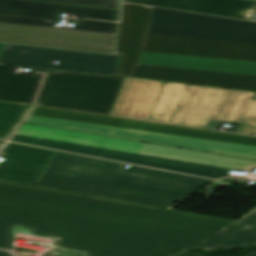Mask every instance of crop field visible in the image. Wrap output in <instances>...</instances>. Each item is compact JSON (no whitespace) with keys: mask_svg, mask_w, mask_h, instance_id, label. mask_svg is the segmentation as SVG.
<instances>
[{"mask_svg":"<svg viewBox=\"0 0 256 256\" xmlns=\"http://www.w3.org/2000/svg\"><path fill=\"white\" fill-rule=\"evenodd\" d=\"M234 222L0 181V248L15 237L84 256H176Z\"/></svg>","mask_w":256,"mask_h":256,"instance_id":"crop-field-1","label":"crop field"},{"mask_svg":"<svg viewBox=\"0 0 256 256\" xmlns=\"http://www.w3.org/2000/svg\"><path fill=\"white\" fill-rule=\"evenodd\" d=\"M61 12L117 21L118 11L0 0V42L112 53L116 23L82 19L54 27Z\"/></svg>","mask_w":256,"mask_h":256,"instance_id":"crop-field-6","label":"crop field"},{"mask_svg":"<svg viewBox=\"0 0 256 256\" xmlns=\"http://www.w3.org/2000/svg\"><path fill=\"white\" fill-rule=\"evenodd\" d=\"M30 106L0 102V139L8 140Z\"/></svg>","mask_w":256,"mask_h":256,"instance_id":"crop-field-16","label":"crop field"},{"mask_svg":"<svg viewBox=\"0 0 256 256\" xmlns=\"http://www.w3.org/2000/svg\"><path fill=\"white\" fill-rule=\"evenodd\" d=\"M123 80L49 70L35 105L109 115Z\"/></svg>","mask_w":256,"mask_h":256,"instance_id":"crop-field-9","label":"crop field"},{"mask_svg":"<svg viewBox=\"0 0 256 256\" xmlns=\"http://www.w3.org/2000/svg\"><path fill=\"white\" fill-rule=\"evenodd\" d=\"M118 55L6 44L1 64L115 75ZM54 60H60L58 65Z\"/></svg>","mask_w":256,"mask_h":256,"instance_id":"crop-field-10","label":"crop field"},{"mask_svg":"<svg viewBox=\"0 0 256 256\" xmlns=\"http://www.w3.org/2000/svg\"><path fill=\"white\" fill-rule=\"evenodd\" d=\"M142 51L256 62V23L153 7Z\"/></svg>","mask_w":256,"mask_h":256,"instance_id":"crop-field-5","label":"crop field"},{"mask_svg":"<svg viewBox=\"0 0 256 256\" xmlns=\"http://www.w3.org/2000/svg\"><path fill=\"white\" fill-rule=\"evenodd\" d=\"M123 2L154 5L245 20H252L256 14V0H123Z\"/></svg>","mask_w":256,"mask_h":256,"instance_id":"crop-field-12","label":"crop field"},{"mask_svg":"<svg viewBox=\"0 0 256 256\" xmlns=\"http://www.w3.org/2000/svg\"><path fill=\"white\" fill-rule=\"evenodd\" d=\"M0 256H12V255L8 254V253L5 252V251H1V250H0Z\"/></svg>","mask_w":256,"mask_h":256,"instance_id":"crop-field-21","label":"crop field"},{"mask_svg":"<svg viewBox=\"0 0 256 256\" xmlns=\"http://www.w3.org/2000/svg\"><path fill=\"white\" fill-rule=\"evenodd\" d=\"M46 3L119 10L120 0H30Z\"/></svg>","mask_w":256,"mask_h":256,"instance_id":"crop-field-17","label":"crop field"},{"mask_svg":"<svg viewBox=\"0 0 256 256\" xmlns=\"http://www.w3.org/2000/svg\"><path fill=\"white\" fill-rule=\"evenodd\" d=\"M50 247V246H49ZM51 251L50 254H58V255H82L86 252H77V251H69V250H63V249H57L50 247Z\"/></svg>","mask_w":256,"mask_h":256,"instance_id":"crop-field-18","label":"crop field"},{"mask_svg":"<svg viewBox=\"0 0 256 256\" xmlns=\"http://www.w3.org/2000/svg\"><path fill=\"white\" fill-rule=\"evenodd\" d=\"M55 153L54 150L7 143L0 151L6 157L0 179L34 185Z\"/></svg>","mask_w":256,"mask_h":256,"instance_id":"crop-field-11","label":"crop field"},{"mask_svg":"<svg viewBox=\"0 0 256 256\" xmlns=\"http://www.w3.org/2000/svg\"><path fill=\"white\" fill-rule=\"evenodd\" d=\"M24 122L256 160V138L33 106Z\"/></svg>","mask_w":256,"mask_h":256,"instance_id":"crop-field-7","label":"crop field"},{"mask_svg":"<svg viewBox=\"0 0 256 256\" xmlns=\"http://www.w3.org/2000/svg\"><path fill=\"white\" fill-rule=\"evenodd\" d=\"M17 67L0 65V100L33 104L44 74L32 76L16 74ZM46 73L47 70L32 69Z\"/></svg>","mask_w":256,"mask_h":256,"instance_id":"crop-field-14","label":"crop field"},{"mask_svg":"<svg viewBox=\"0 0 256 256\" xmlns=\"http://www.w3.org/2000/svg\"><path fill=\"white\" fill-rule=\"evenodd\" d=\"M254 93L125 78L110 115L207 128L210 120L240 123L256 135Z\"/></svg>","mask_w":256,"mask_h":256,"instance_id":"crop-field-2","label":"crop field"},{"mask_svg":"<svg viewBox=\"0 0 256 256\" xmlns=\"http://www.w3.org/2000/svg\"><path fill=\"white\" fill-rule=\"evenodd\" d=\"M194 193H195V192H194ZM196 194H197V193H195V194H193V195H191V196H189V197H187V198H185V199H183V200H181V201H179V202H177V203L171 205V206L168 207V208L173 209V208L177 207L178 205H180L181 203L185 202L186 200L190 199L191 197H193V196L196 195Z\"/></svg>","mask_w":256,"mask_h":256,"instance_id":"crop-field-19","label":"crop field"},{"mask_svg":"<svg viewBox=\"0 0 256 256\" xmlns=\"http://www.w3.org/2000/svg\"><path fill=\"white\" fill-rule=\"evenodd\" d=\"M5 44H0V55H1V52L3 50V47H4Z\"/></svg>","mask_w":256,"mask_h":256,"instance_id":"crop-field-22","label":"crop field"},{"mask_svg":"<svg viewBox=\"0 0 256 256\" xmlns=\"http://www.w3.org/2000/svg\"><path fill=\"white\" fill-rule=\"evenodd\" d=\"M255 21H256V18H255Z\"/></svg>","mask_w":256,"mask_h":256,"instance_id":"crop-field-24","label":"crop field"},{"mask_svg":"<svg viewBox=\"0 0 256 256\" xmlns=\"http://www.w3.org/2000/svg\"><path fill=\"white\" fill-rule=\"evenodd\" d=\"M249 244L256 245V209L199 244L196 248L209 250L219 246L224 248L247 247Z\"/></svg>","mask_w":256,"mask_h":256,"instance_id":"crop-field-15","label":"crop field"},{"mask_svg":"<svg viewBox=\"0 0 256 256\" xmlns=\"http://www.w3.org/2000/svg\"><path fill=\"white\" fill-rule=\"evenodd\" d=\"M180 256H200V255H196V254H193V253H190V252H187L183 255H180ZM244 256H256V251L255 252H252V253H249V254H246Z\"/></svg>","mask_w":256,"mask_h":256,"instance_id":"crop-field-20","label":"crop field"},{"mask_svg":"<svg viewBox=\"0 0 256 256\" xmlns=\"http://www.w3.org/2000/svg\"><path fill=\"white\" fill-rule=\"evenodd\" d=\"M122 166L56 151L35 185L164 207L214 181L136 166L122 169Z\"/></svg>","mask_w":256,"mask_h":256,"instance_id":"crop-field-3","label":"crop field"},{"mask_svg":"<svg viewBox=\"0 0 256 256\" xmlns=\"http://www.w3.org/2000/svg\"><path fill=\"white\" fill-rule=\"evenodd\" d=\"M150 8L123 4L117 52L121 53L118 75L182 82L256 92V76L195 69L137 64Z\"/></svg>","mask_w":256,"mask_h":256,"instance_id":"crop-field-8","label":"crop field"},{"mask_svg":"<svg viewBox=\"0 0 256 256\" xmlns=\"http://www.w3.org/2000/svg\"><path fill=\"white\" fill-rule=\"evenodd\" d=\"M138 63L256 75V63L253 62L142 52Z\"/></svg>","mask_w":256,"mask_h":256,"instance_id":"crop-field-13","label":"crop field"},{"mask_svg":"<svg viewBox=\"0 0 256 256\" xmlns=\"http://www.w3.org/2000/svg\"><path fill=\"white\" fill-rule=\"evenodd\" d=\"M10 140L213 179L256 166L254 160L29 124L20 125Z\"/></svg>","mask_w":256,"mask_h":256,"instance_id":"crop-field-4","label":"crop field"},{"mask_svg":"<svg viewBox=\"0 0 256 256\" xmlns=\"http://www.w3.org/2000/svg\"><path fill=\"white\" fill-rule=\"evenodd\" d=\"M5 142L0 141V148L4 145Z\"/></svg>","mask_w":256,"mask_h":256,"instance_id":"crop-field-23","label":"crop field"}]
</instances>
